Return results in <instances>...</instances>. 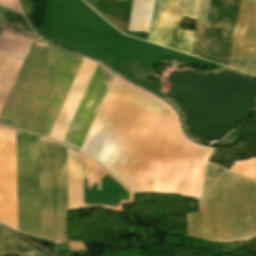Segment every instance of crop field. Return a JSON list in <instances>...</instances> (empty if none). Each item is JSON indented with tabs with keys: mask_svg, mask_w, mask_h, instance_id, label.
<instances>
[{
	"mask_svg": "<svg viewBox=\"0 0 256 256\" xmlns=\"http://www.w3.org/2000/svg\"><path fill=\"white\" fill-rule=\"evenodd\" d=\"M164 105L158 98L124 82L90 156L127 182ZM165 107L172 112L182 138L197 146L183 136L176 114L167 104ZM166 108L128 180L138 190H150L178 134L175 120ZM180 135L178 134L152 191L179 192L200 148L202 150L180 193H151L199 198L205 161L213 149L194 147ZM129 183L127 185L136 192H148L138 191Z\"/></svg>",
	"mask_w": 256,
	"mask_h": 256,
	"instance_id": "1",
	"label": "crop field"
},
{
	"mask_svg": "<svg viewBox=\"0 0 256 256\" xmlns=\"http://www.w3.org/2000/svg\"><path fill=\"white\" fill-rule=\"evenodd\" d=\"M82 59L37 42L1 118L47 136Z\"/></svg>",
	"mask_w": 256,
	"mask_h": 256,
	"instance_id": "2",
	"label": "crop field"
},
{
	"mask_svg": "<svg viewBox=\"0 0 256 256\" xmlns=\"http://www.w3.org/2000/svg\"><path fill=\"white\" fill-rule=\"evenodd\" d=\"M196 201L199 213L186 214L189 234L223 240L256 235V181L207 164L202 198Z\"/></svg>",
	"mask_w": 256,
	"mask_h": 256,
	"instance_id": "3",
	"label": "crop field"
},
{
	"mask_svg": "<svg viewBox=\"0 0 256 256\" xmlns=\"http://www.w3.org/2000/svg\"><path fill=\"white\" fill-rule=\"evenodd\" d=\"M17 231L40 237L38 137L16 131Z\"/></svg>",
	"mask_w": 256,
	"mask_h": 256,
	"instance_id": "4",
	"label": "crop field"
},
{
	"mask_svg": "<svg viewBox=\"0 0 256 256\" xmlns=\"http://www.w3.org/2000/svg\"><path fill=\"white\" fill-rule=\"evenodd\" d=\"M199 0H155L148 41L190 52L193 32L180 30L184 16L196 18Z\"/></svg>",
	"mask_w": 256,
	"mask_h": 256,
	"instance_id": "5",
	"label": "crop field"
},
{
	"mask_svg": "<svg viewBox=\"0 0 256 256\" xmlns=\"http://www.w3.org/2000/svg\"><path fill=\"white\" fill-rule=\"evenodd\" d=\"M113 76L97 65L63 142L80 149Z\"/></svg>",
	"mask_w": 256,
	"mask_h": 256,
	"instance_id": "6",
	"label": "crop field"
},
{
	"mask_svg": "<svg viewBox=\"0 0 256 256\" xmlns=\"http://www.w3.org/2000/svg\"><path fill=\"white\" fill-rule=\"evenodd\" d=\"M229 66L256 75L255 0H241Z\"/></svg>",
	"mask_w": 256,
	"mask_h": 256,
	"instance_id": "7",
	"label": "crop field"
},
{
	"mask_svg": "<svg viewBox=\"0 0 256 256\" xmlns=\"http://www.w3.org/2000/svg\"><path fill=\"white\" fill-rule=\"evenodd\" d=\"M0 221L16 229L15 131L1 127Z\"/></svg>",
	"mask_w": 256,
	"mask_h": 256,
	"instance_id": "8",
	"label": "crop field"
},
{
	"mask_svg": "<svg viewBox=\"0 0 256 256\" xmlns=\"http://www.w3.org/2000/svg\"><path fill=\"white\" fill-rule=\"evenodd\" d=\"M123 82L124 80L114 76L98 110V113L92 123V126L86 136V139L80 149L81 151L90 154Z\"/></svg>",
	"mask_w": 256,
	"mask_h": 256,
	"instance_id": "9",
	"label": "crop field"
},
{
	"mask_svg": "<svg viewBox=\"0 0 256 256\" xmlns=\"http://www.w3.org/2000/svg\"><path fill=\"white\" fill-rule=\"evenodd\" d=\"M83 207L82 154L68 148V210Z\"/></svg>",
	"mask_w": 256,
	"mask_h": 256,
	"instance_id": "10",
	"label": "crop field"
},
{
	"mask_svg": "<svg viewBox=\"0 0 256 256\" xmlns=\"http://www.w3.org/2000/svg\"><path fill=\"white\" fill-rule=\"evenodd\" d=\"M32 38L2 29L0 33V51L24 56Z\"/></svg>",
	"mask_w": 256,
	"mask_h": 256,
	"instance_id": "11",
	"label": "crop field"
},
{
	"mask_svg": "<svg viewBox=\"0 0 256 256\" xmlns=\"http://www.w3.org/2000/svg\"><path fill=\"white\" fill-rule=\"evenodd\" d=\"M13 253H18L20 256H44L0 227V255Z\"/></svg>",
	"mask_w": 256,
	"mask_h": 256,
	"instance_id": "12",
	"label": "crop field"
},
{
	"mask_svg": "<svg viewBox=\"0 0 256 256\" xmlns=\"http://www.w3.org/2000/svg\"><path fill=\"white\" fill-rule=\"evenodd\" d=\"M209 1L210 0H200L199 9H198V15H197V20L195 25L191 52H190L191 55H195L198 57L200 55V49H201V44L203 39Z\"/></svg>",
	"mask_w": 256,
	"mask_h": 256,
	"instance_id": "13",
	"label": "crop field"
},
{
	"mask_svg": "<svg viewBox=\"0 0 256 256\" xmlns=\"http://www.w3.org/2000/svg\"><path fill=\"white\" fill-rule=\"evenodd\" d=\"M33 26L40 31L48 0H23Z\"/></svg>",
	"mask_w": 256,
	"mask_h": 256,
	"instance_id": "14",
	"label": "crop field"
},
{
	"mask_svg": "<svg viewBox=\"0 0 256 256\" xmlns=\"http://www.w3.org/2000/svg\"><path fill=\"white\" fill-rule=\"evenodd\" d=\"M4 19L3 27L38 38V36L28 27L23 17L7 10Z\"/></svg>",
	"mask_w": 256,
	"mask_h": 256,
	"instance_id": "15",
	"label": "crop field"
},
{
	"mask_svg": "<svg viewBox=\"0 0 256 256\" xmlns=\"http://www.w3.org/2000/svg\"><path fill=\"white\" fill-rule=\"evenodd\" d=\"M231 171L256 180V158H251L241 162H235Z\"/></svg>",
	"mask_w": 256,
	"mask_h": 256,
	"instance_id": "16",
	"label": "crop field"
},
{
	"mask_svg": "<svg viewBox=\"0 0 256 256\" xmlns=\"http://www.w3.org/2000/svg\"><path fill=\"white\" fill-rule=\"evenodd\" d=\"M0 6L21 13L17 0H0Z\"/></svg>",
	"mask_w": 256,
	"mask_h": 256,
	"instance_id": "17",
	"label": "crop field"
},
{
	"mask_svg": "<svg viewBox=\"0 0 256 256\" xmlns=\"http://www.w3.org/2000/svg\"><path fill=\"white\" fill-rule=\"evenodd\" d=\"M71 251H87L82 242L70 243Z\"/></svg>",
	"mask_w": 256,
	"mask_h": 256,
	"instance_id": "18",
	"label": "crop field"
},
{
	"mask_svg": "<svg viewBox=\"0 0 256 256\" xmlns=\"http://www.w3.org/2000/svg\"><path fill=\"white\" fill-rule=\"evenodd\" d=\"M8 93H9L8 91H4V90L0 89V111L2 109V106H3L4 102H5V99H6L7 95H8Z\"/></svg>",
	"mask_w": 256,
	"mask_h": 256,
	"instance_id": "19",
	"label": "crop field"
},
{
	"mask_svg": "<svg viewBox=\"0 0 256 256\" xmlns=\"http://www.w3.org/2000/svg\"><path fill=\"white\" fill-rule=\"evenodd\" d=\"M1 29H2V28L0 27V31H1Z\"/></svg>",
	"mask_w": 256,
	"mask_h": 256,
	"instance_id": "20",
	"label": "crop field"
}]
</instances>
